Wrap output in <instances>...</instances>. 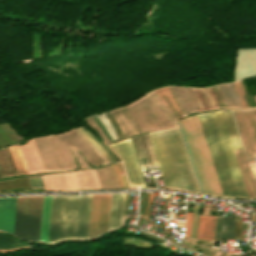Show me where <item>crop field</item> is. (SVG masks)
Here are the masks:
<instances>
[{"label":"crop field","mask_w":256,"mask_h":256,"mask_svg":"<svg viewBox=\"0 0 256 256\" xmlns=\"http://www.w3.org/2000/svg\"><path fill=\"white\" fill-rule=\"evenodd\" d=\"M149 135L166 187L198 193L177 128Z\"/></svg>","instance_id":"obj_1"},{"label":"crop field","mask_w":256,"mask_h":256,"mask_svg":"<svg viewBox=\"0 0 256 256\" xmlns=\"http://www.w3.org/2000/svg\"><path fill=\"white\" fill-rule=\"evenodd\" d=\"M91 195L52 196L48 243L87 238Z\"/></svg>","instance_id":"obj_2"},{"label":"crop field","mask_w":256,"mask_h":256,"mask_svg":"<svg viewBox=\"0 0 256 256\" xmlns=\"http://www.w3.org/2000/svg\"><path fill=\"white\" fill-rule=\"evenodd\" d=\"M201 193L223 196L217 174L198 119L177 121Z\"/></svg>","instance_id":"obj_3"},{"label":"crop field","mask_w":256,"mask_h":256,"mask_svg":"<svg viewBox=\"0 0 256 256\" xmlns=\"http://www.w3.org/2000/svg\"><path fill=\"white\" fill-rule=\"evenodd\" d=\"M43 197H19L16 202L13 234L25 240L40 236Z\"/></svg>","instance_id":"obj_4"},{"label":"crop field","mask_w":256,"mask_h":256,"mask_svg":"<svg viewBox=\"0 0 256 256\" xmlns=\"http://www.w3.org/2000/svg\"><path fill=\"white\" fill-rule=\"evenodd\" d=\"M225 197H237L210 113L198 115Z\"/></svg>","instance_id":"obj_5"},{"label":"crop field","mask_w":256,"mask_h":256,"mask_svg":"<svg viewBox=\"0 0 256 256\" xmlns=\"http://www.w3.org/2000/svg\"><path fill=\"white\" fill-rule=\"evenodd\" d=\"M41 177L46 191L101 189L95 169Z\"/></svg>","instance_id":"obj_6"},{"label":"crop field","mask_w":256,"mask_h":256,"mask_svg":"<svg viewBox=\"0 0 256 256\" xmlns=\"http://www.w3.org/2000/svg\"><path fill=\"white\" fill-rule=\"evenodd\" d=\"M211 114H212L216 129H217V132H218V136H219V139H220V142H221L231 175H232V179H233L238 197L239 198H249L246 188H245V185H244V182H243V179H242V176H241V173H240V170H239V167H238V164H237V161H236V158H235V154H234V151H233V148H232L222 115H221V112L218 111V112H213Z\"/></svg>","instance_id":"obj_7"},{"label":"crop field","mask_w":256,"mask_h":256,"mask_svg":"<svg viewBox=\"0 0 256 256\" xmlns=\"http://www.w3.org/2000/svg\"><path fill=\"white\" fill-rule=\"evenodd\" d=\"M109 146L123 159L129 183L145 186L131 140H125Z\"/></svg>","instance_id":"obj_8"},{"label":"crop field","mask_w":256,"mask_h":256,"mask_svg":"<svg viewBox=\"0 0 256 256\" xmlns=\"http://www.w3.org/2000/svg\"><path fill=\"white\" fill-rule=\"evenodd\" d=\"M111 194L92 195L89 232L108 224Z\"/></svg>","instance_id":"obj_9"},{"label":"crop field","mask_w":256,"mask_h":256,"mask_svg":"<svg viewBox=\"0 0 256 256\" xmlns=\"http://www.w3.org/2000/svg\"><path fill=\"white\" fill-rule=\"evenodd\" d=\"M16 198H0V229L12 234Z\"/></svg>","instance_id":"obj_10"},{"label":"crop field","mask_w":256,"mask_h":256,"mask_svg":"<svg viewBox=\"0 0 256 256\" xmlns=\"http://www.w3.org/2000/svg\"><path fill=\"white\" fill-rule=\"evenodd\" d=\"M216 216L200 215L197 238L213 240Z\"/></svg>","instance_id":"obj_11"},{"label":"crop field","mask_w":256,"mask_h":256,"mask_svg":"<svg viewBox=\"0 0 256 256\" xmlns=\"http://www.w3.org/2000/svg\"><path fill=\"white\" fill-rule=\"evenodd\" d=\"M123 194H112L109 229L120 226Z\"/></svg>","instance_id":"obj_12"},{"label":"crop field","mask_w":256,"mask_h":256,"mask_svg":"<svg viewBox=\"0 0 256 256\" xmlns=\"http://www.w3.org/2000/svg\"><path fill=\"white\" fill-rule=\"evenodd\" d=\"M221 112H222L227 130L229 132L234 150L237 151V150L243 149L238 132H237V128L233 119L232 112L231 111H221Z\"/></svg>","instance_id":"obj_13"},{"label":"crop field","mask_w":256,"mask_h":256,"mask_svg":"<svg viewBox=\"0 0 256 256\" xmlns=\"http://www.w3.org/2000/svg\"><path fill=\"white\" fill-rule=\"evenodd\" d=\"M51 196L44 197L40 241L47 243Z\"/></svg>","instance_id":"obj_14"},{"label":"crop field","mask_w":256,"mask_h":256,"mask_svg":"<svg viewBox=\"0 0 256 256\" xmlns=\"http://www.w3.org/2000/svg\"><path fill=\"white\" fill-rule=\"evenodd\" d=\"M221 238L235 239V220L223 217Z\"/></svg>","instance_id":"obj_15"},{"label":"crop field","mask_w":256,"mask_h":256,"mask_svg":"<svg viewBox=\"0 0 256 256\" xmlns=\"http://www.w3.org/2000/svg\"><path fill=\"white\" fill-rule=\"evenodd\" d=\"M28 245H22L19 242L0 234V248H13V247H24ZM29 249V247L24 248H13V249H0V251H15V250H25Z\"/></svg>","instance_id":"obj_16"},{"label":"crop field","mask_w":256,"mask_h":256,"mask_svg":"<svg viewBox=\"0 0 256 256\" xmlns=\"http://www.w3.org/2000/svg\"><path fill=\"white\" fill-rule=\"evenodd\" d=\"M9 149H10V152H11V155H12V158H13V161H14L17 173L18 174H20V173H28L27 169H26V166L24 164L21 152L19 150V147L16 146V147H11Z\"/></svg>","instance_id":"obj_17"},{"label":"crop field","mask_w":256,"mask_h":256,"mask_svg":"<svg viewBox=\"0 0 256 256\" xmlns=\"http://www.w3.org/2000/svg\"><path fill=\"white\" fill-rule=\"evenodd\" d=\"M159 93L164 97V99L168 102V104L171 106V108L174 110V112L177 114L178 117L182 116V113L180 112V110L178 109L176 102L174 101L169 88H162V89H158ZM158 91L156 90L157 94L160 96V94L158 93ZM160 98L163 100V98L160 96ZM164 101V100H163ZM165 103V101H164ZM166 104V103H165ZM167 105V104H166ZM169 108V107H168ZM170 109V108H169ZM172 112V111H171ZM173 113V112H172ZM176 117V116H175ZM177 118V117H176Z\"/></svg>","instance_id":"obj_18"},{"label":"crop field","mask_w":256,"mask_h":256,"mask_svg":"<svg viewBox=\"0 0 256 256\" xmlns=\"http://www.w3.org/2000/svg\"><path fill=\"white\" fill-rule=\"evenodd\" d=\"M86 137L102 152V154L109 160L112 161L116 159L113 154L103 145L101 144L97 139L93 138L83 127L79 128Z\"/></svg>","instance_id":"obj_19"},{"label":"crop field","mask_w":256,"mask_h":256,"mask_svg":"<svg viewBox=\"0 0 256 256\" xmlns=\"http://www.w3.org/2000/svg\"><path fill=\"white\" fill-rule=\"evenodd\" d=\"M199 205H194L193 209V217H192V225H191V233L190 237L195 238L196 235V229H197V222H198V216H199Z\"/></svg>","instance_id":"obj_20"},{"label":"crop field","mask_w":256,"mask_h":256,"mask_svg":"<svg viewBox=\"0 0 256 256\" xmlns=\"http://www.w3.org/2000/svg\"><path fill=\"white\" fill-rule=\"evenodd\" d=\"M234 84L236 86V89H237V92H238L239 97L241 99L243 107L244 108L249 107L248 103L246 101V97H245V93H244V90H243L242 82L239 81V82H235Z\"/></svg>","instance_id":"obj_21"},{"label":"crop field","mask_w":256,"mask_h":256,"mask_svg":"<svg viewBox=\"0 0 256 256\" xmlns=\"http://www.w3.org/2000/svg\"><path fill=\"white\" fill-rule=\"evenodd\" d=\"M219 87V86H218ZM217 86L212 87L219 107H227Z\"/></svg>","instance_id":"obj_22"},{"label":"crop field","mask_w":256,"mask_h":256,"mask_svg":"<svg viewBox=\"0 0 256 256\" xmlns=\"http://www.w3.org/2000/svg\"><path fill=\"white\" fill-rule=\"evenodd\" d=\"M192 213L186 212L184 235L189 237Z\"/></svg>","instance_id":"obj_23"},{"label":"crop field","mask_w":256,"mask_h":256,"mask_svg":"<svg viewBox=\"0 0 256 256\" xmlns=\"http://www.w3.org/2000/svg\"><path fill=\"white\" fill-rule=\"evenodd\" d=\"M152 197H153V193H150L149 203H151ZM148 207H149V205H148ZM147 213H148V209H147ZM147 213H146V215H147Z\"/></svg>","instance_id":"obj_24"}]
</instances>
